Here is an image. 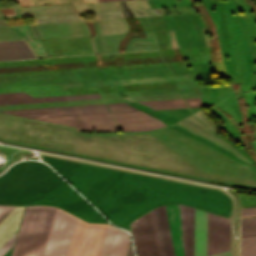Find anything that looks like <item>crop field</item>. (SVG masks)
Wrapping results in <instances>:
<instances>
[{
	"mask_svg": "<svg viewBox=\"0 0 256 256\" xmlns=\"http://www.w3.org/2000/svg\"><path fill=\"white\" fill-rule=\"evenodd\" d=\"M95 98H101L100 94L60 96V97H45V98H29V99H14V100H0V104L32 103V102H47V101L95 99Z\"/></svg>",
	"mask_w": 256,
	"mask_h": 256,
	"instance_id": "13",
	"label": "crop field"
},
{
	"mask_svg": "<svg viewBox=\"0 0 256 256\" xmlns=\"http://www.w3.org/2000/svg\"><path fill=\"white\" fill-rule=\"evenodd\" d=\"M175 256H183L178 204L165 206Z\"/></svg>",
	"mask_w": 256,
	"mask_h": 256,
	"instance_id": "8",
	"label": "crop field"
},
{
	"mask_svg": "<svg viewBox=\"0 0 256 256\" xmlns=\"http://www.w3.org/2000/svg\"><path fill=\"white\" fill-rule=\"evenodd\" d=\"M215 256H229V252L223 253V254H219V255H215Z\"/></svg>",
	"mask_w": 256,
	"mask_h": 256,
	"instance_id": "24",
	"label": "crop field"
},
{
	"mask_svg": "<svg viewBox=\"0 0 256 256\" xmlns=\"http://www.w3.org/2000/svg\"><path fill=\"white\" fill-rule=\"evenodd\" d=\"M111 112H119V111H133V110H137L134 109L132 107H130L129 105H127L126 103H116V104H108Z\"/></svg>",
	"mask_w": 256,
	"mask_h": 256,
	"instance_id": "18",
	"label": "crop field"
},
{
	"mask_svg": "<svg viewBox=\"0 0 256 256\" xmlns=\"http://www.w3.org/2000/svg\"><path fill=\"white\" fill-rule=\"evenodd\" d=\"M24 207H15L0 222V247L16 232Z\"/></svg>",
	"mask_w": 256,
	"mask_h": 256,
	"instance_id": "11",
	"label": "crop field"
},
{
	"mask_svg": "<svg viewBox=\"0 0 256 256\" xmlns=\"http://www.w3.org/2000/svg\"><path fill=\"white\" fill-rule=\"evenodd\" d=\"M120 129L129 131L153 130L166 126L142 111L113 113ZM121 130V131H122Z\"/></svg>",
	"mask_w": 256,
	"mask_h": 256,
	"instance_id": "5",
	"label": "crop field"
},
{
	"mask_svg": "<svg viewBox=\"0 0 256 256\" xmlns=\"http://www.w3.org/2000/svg\"><path fill=\"white\" fill-rule=\"evenodd\" d=\"M137 256H158L150 219L147 213L131 223Z\"/></svg>",
	"mask_w": 256,
	"mask_h": 256,
	"instance_id": "4",
	"label": "crop field"
},
{
	"mask_svg": "<svg viewBox=\"0 0 256 256\" xmlns=\"http://www.w3.org/2000/svg\"><path fill=\"white\" fill-rule=\"evenodd\" d=\"M37 119L89 130H119L110 113Z\"/></svg>",
	"mask_w": 256,
	"mask_h": 256,
	"instance_id": "3",
	"label": "crop field"
},
{
	"mask_svg": "<svg viewBox=\"0 0 256 256\" xmlns=\"http://www.w3.org/2000/svg\"><path fill=\"white\" fill-rule=\"evenodd\" d=\"M243 236L256 235V218L242 219Z\"/></svg>",
	"mask_w": 256,
	"mask_h": 256,
	"instance_id": "17",
	"label": "crop field"
},
{
	"mask_svg": "<svg viewBox=\"0 0 256 256\" xmlns=\"http://www.w3.org/2000/svg\"><path fill=\"white\" fill-rule=\"evenodd\" d=\"M229 218L220 216L219 253L228 251L230 245Z\"/></svg>",
	"mask_w": 256,
	"mask_h": 256,
	"instance_id": "15",
	"label": "crop field"
},
{
	"mask_svg": "<svg viewBox=\"0 0 256 256\" xmlns=\"http://www.w3.org/2000/svg\"><path fill=\"white\" fill-rule=\"evenodd\" d=\"M49 207H26L12 256H34ZM55 208H49L35 256H40ZM130 236L109 225L87 224L55 209L41 256H126Z\"/></svg>",
	"mask_w": 256,
	"mask_h": 256,
	"instance_id": "1",
	"label": "crop field"
},
{
	"mask_svg": "<svg viewBox=\"0 0 256 256\" xmlns=\"http://www.w3.org/2000/svg\"><path fill=\"white\" fill-rule=\"evenodd\" d=\"M256 214V208L241 209V216Z\"/></svg>",
	"mask_w": 256,
	"mask_h": 256,
	"instance_id": "21",
	"label": "crop field"
},
{
	"mask_svg": "<svg viewBox=\"0 0 256 256\" xmlns=\"http://www.w3.org/2000/svg\"><path fill=\"white\" fill-rule=\"evenodd\" d=\"M98 1H107V0H98Z\"/></svg>",
	"mask_w": 256,
	"mask_h": 256,
	"instance_id": "25",
	"label": "crop field"
},
{
	"mask_svg": "<svg viewBox=\"0 0 256 256\" xmlns=\"http://www.w3.org/2000/svg\"><path fill=\"white\" fill-rule=\"evenodd\" d=\"M12 98H18L16 93L0 94V99H12Z\"/></svg>",
	"mask_w": 256,
	"mask_h": 256,
	"instance_id": "22",
	"label": "crop field"
},
{
	"mask_svg": "<svg viewBox=\"0 0 256 256\" xmlns=\"http://www.w3.org/2000/svg\"><path fill=\"white\" fill-rule=\"evenodd\" d=\"M153 110L188 107L184 99L139 102Z\"/></svg>",
	"mask_w": 256,
	"mask_h": 256,
	"instance_id": "14",
	"label": "crop field"
},
{
	"mask_svg": "<svg viewBox=\"0 0 256 256\" xmlns=\"http://www.w3.org/2000/svg\"><path fill=\"white\" fill-rule=\"evenodd\" d=\"M190 107L202 106V103L199 98L186 99Z\"/></svg>",
	"mask_w": 256,
	"mask_h": 256,
	"instance_id": "20",
	"label": "crop field"
},
{
	"mask_svg": "<svg viewBox=\"0 0 256 256\" xmlns=\"http://www.w3.org/2000/svg\"><path fill=\"white\" fill-rule=\"evenodd\" d=\"M242 256H256V236L243 237Z\"/></svg>",
	"mask_w": 256,
	"mask_h": 256,
	"instance_id": "16",
	"label": "crop field"
},
{
	"mask_svg": "<svg viewBox=\"0 0 256 256\" xmlns=\"http://www.w3.org/2000/svg\"><path fill=\"white\" fill-rule=\"evenodd\" d=\"M219 216L208 213L207 256L218 253Z\"/></svg>",
	"mask_w": 256,
	"mask_h": 256,
	"instance_id": "12",
	"label": "crop field"
},
{
	"mask_svg": "<svg viewBox=\"0 0 256 256\" xmlns=\"http://www.w3.org/2000/svg\"><path fill=\"white\" fill-rule=\"evenodd\" d=\"M154 212H155L159 236L161 240L163 255L174 256L165 208L164 206L158 207L154 209Z\"/></svg>",
	"mask_w": 256,
	"mask_h": 256,
	"instance_id": "10",
	"label": "crop field"
},
{
	"mask_svg": "<svg viewBox=\"0 0 256 256\" xmlns=\"http://www.w3.org/2000/svg\"><path fill=\"white\" fill-rule=\"evenodd\" d=\"M14 207H5V206H0V219Z\"/></svg>",
	"mask_w": 256,
	"mask_h": 256,
	"instance_id": "23",
	"label": "crop field"
},
{
	"mask_svg": "<svg viewBox=\"0 0 256 256\" xmlns=\"http://www.w3.org/2000/svg\"><path fill=\"white\" fill-rule=\"evenodd\" d=\"M34 58L24 40L0 42V60Z\"/></svg>",
	"mask_w": 256,
	"mask_h": 256,
	"instance_id": "9",
	"label": "crop field"
},
{
	"mask_svg": "<svg viewBox=\"0 0 256 256\" xmlns=\"http://www.w3.org/2000/svg\"><path fill=\"white\" fill-rule=\"evenodd\" d=\"M207 213L195 209L194 256H206Z\"/></svg>",
	"mask_w": 256,
	"mask_h": 256,
	"instance_id": "7",
	"label": "crop field"
},
{
	"mask_svg": "<svg viewBox=\"0 0 256 256\" xmlns=\"http://www.w3.org/2000/svg\"><path fill=\"white\" fill-rule=\"evenodd\" d=\"M15 234L0 248V256H3L13 245ZM11 249L4 255L9 256Z\"/></svg>",
	"mask_w": 256,
	"mask_h": 256,
	"instance_id": "19",
	"label": "crop field"
},
{
	"mask_svg": "<svg viewBox=\"0 0 256 256\" xmlns=\"http://www.w3.org/2000/svg\"><path fill=\"white\" fill-rule=\"evenodd\" d=\"M184 256H193L194 209L179 205Z\"/></svg>",
	"mask_w": 256,
	"mask_h": 256,
	"instance_id": "6",
	"label": "crop field"
},
{
	"mask_svg": "<svg viewBox=\"0 0 256 256\" xmlns=\"http://www.w3.org/2000/svg\"><path fill=\"white\" fill-rule=\"evenodd\" d=\"M10 114L24 116L28 118L64 116L90 113L109 112L106 104L98 105H82V106H66V107H50V108H34V109H18V110H2Z\"/></svg>",
	"mask_w": 256,
	"mask_h": 256,
	"instance_id": "2",
	"label": "crop field"
}]
</instances>
